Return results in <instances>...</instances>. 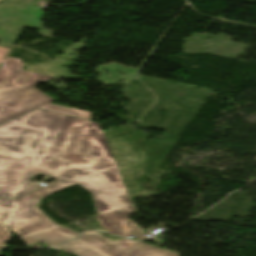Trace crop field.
I'll return each instance as SVG.
<instances>
[{"mask_svg": "<svg viewBox=\"0 0 256 256\" xmlns=\"http://www.w3.org/2000/svg\"><path fill=\"white\" fill-rule=\"evenodd\" d=\"M38 173L57 182L14 200L0 199V222L27 246L72 239L37 209L43 197L70 185L91 192L98 213L131 203L97 122L37 109L0 125V197L41 187L30 183V176Z\"/></svg>", "mask_w": 256, "mask_h": 256, "instance_id": "crop-field-1", "label": "crop field"}, {"mask_svg": "<svg viewBox=\"0 0 256 256\" xmlns=\"http://www.w3.org/2000/svg\"><path fill=\"white\" fill-rule=\"evenodd\" d=\"M0 68V124L37 108L91 120L90 112L49 104L54 101L33 87L51 77L25 72L21 61L6 57Z\"/></svg>", "mask_w": 256, "mask_h": 256, "instance_id": "crop-field-2", "label": "crop field"}, {"mask_svg": "<svg viewBox=\"0 0 256 256\" xmlns=\"http://www.w3.org/2000/svg\"><path fill=\"white\" fill-rule=\"evenodd\" d=\"M56 248L70 252L78 250L86 256H178L175 253L147 244H137L125 248L109 242L97 234L82 235L79 239L64 243Z\"/></svg>", "mask_w": 256, "mask_h": 256, "instance_id": "crop-field-3", "label": "crop field"}, {"mask_svg": "<svg viewBox=\"0 0 256 256\" xmlns=\"http://www.w3.org/2000/svg\"><path fill=\"white\" fill-rule=\"evenodd\" d=\"M132 205L123 208L100 213L99 219L103 228L114 234L127 237L134 235L138 240L147 239L143 230L127 219V216L134 213ZM141 230V232H139Z\"/></svg>", "mask_w": 256, "mask_h": 256, "instance_id": "crop-field-4", "label": "crop field"}, {"mask_svg": "<svg viewBox=\"0 0 256 256\" xmlns=\"http://www.w3.org/2000/svg\"><path fill=\"white\" fill-rule=\"evenodd\" d=\"M12 236L9 233V230L0 223V248L6 249L8 248L6 242L11 240Z\"/></svg>", "mask_w": 256, "mask_h": 256, "instance_id": "crop-field-5", "label": "crop field"}, {"mask_svg": "<svg viewBox=\"0 0 256 256\" xmlns=\"http://www.w3.org/2000/svg\"><path fill=\"white\" fill-rule=\"evenodd\" d=\"M86 233H94V232H86ZM102 236V235H101ZM104 237V236H103ZM117 244L123 245L125 247H128L130 245H134L140 242H133V241H127V240H123V241H119V242H115Z\"/></svg>", "mask_w": 256, "mask_h": 256, "instance_id": "crop-field-6", "label": "crop field"}, {"mask_svg": "<svg viewBox=\"0 0 256 256\" xmlns=\"http://www.w3.org/2000/svg\"><path fill=\"white\" fill-rule=\"evenodd\" d=\"M8 49L7 48H1L0 47V63L3 60L5 54L7 53Z\"/></svg>", "mask_w": 256, "mask_h": 256, "instance_id": "crop-field-7", "label": "crop field"}, {"mask_svg": "<svg viewBox=\"0 0 256 256\" xmlns=\"http://www.w3.org/2000/svg\"><path fill=\"white\" fill-rule=\"evenodd\" d=\"M60 227V226H59ZM60 228H62V227H60ZM68 235H70L72 238H74V237H76V236H78L79 234H77V233H75V232H72V231H70V230H67V229H65V228H62Z\"/></svg>", "mask_w": 256, "mask_h": 256, "instance_id": "crop-field-8", "label": "crop field"}, {"mask_svg": "<svg viewBox=\"0 0 256 256\" xmlns=\"http://www.w3.org/2000/svg\"><path fill=\"white\" fill-rule=\"evenodd\" d=\"M73 253L81 254V253H80V252H78V251H76V252H73ZM81 255H82V254H81ZM81 255H80V256H81ZM83 256H84V255H83Z\"/></svg>", "mask_w": 256, "mask_h": 256, "instance_id": "crop-field-9", "label": "crop field"}, {"mask_svg": "<svg viewBox=\"0 0 256 256\" xmlns=\"http://www.w3.org/2000/svg\"><path fill=\"white\" fill-rule=\"evenodd\" d=\"M0 256H2V252L0 251Z\"/></svg>", "mask_w": 256, "mask_h": 256, "instance_id": "crop-field-10", "label": "crop field"}, {"mask_svg": "<svg viewBox=\"0 0 256 256\" xmlns=\"http://www.w3.org/2000/svg\"><path fill=\"white\" fill-rule=\"evenodd\" d=\"M41 142V141H40ZM40 144V143H39ZM39 146V145H38ZM38 148V147H37ZM37 150V149H36ZM36 152V151H35ZM35 154V153H34ZM34 156V155H33ZM33 158V157H32Z\"/></svg>", "mask_w": 256, "mask_h": 256, "instance_id": "crop-field-11", "label": "crop field"}, {"mask_svg": "<svg viewBox=\"0 0 256 256\" xmlns=\"http://www.w3.org/2000/svg\"><path fill=\"white\" fill-rule=\"evenodd\" d=\"M2 0H0V2H1Z\"/></svg>", "mask_w": 256, "mask_h": 256, "instance_id": "crop-field-12", "label": "crop field"}]
</instances>
